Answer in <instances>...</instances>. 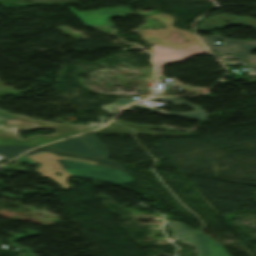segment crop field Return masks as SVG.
<instances>
[{"label":"crop field","mask_w":256,"mask_h":256,"mask_svg":"<svg viewBox=\"0 0 256 256\" xmlns=\"http://www.w3.org/2000/svg\"><path fill=\"white\" fill-rule=\"evenodd\" d=\"M134 101L135 100H133V99L126 100V99L120 98V99H118V101L116 103H114L112 105H102V109L107 110L110 113H113L114 109H119L120 107H122L128 103L134 102Z\"/></svg>","instance_id":"13"},{"label":"crop field","mask_w":256,"mask_h":256,"mask_svg":"<svg viewBox=\"0 0 256 256\" xmlns=\"http://www.w3.org/2000/svg\"><path fill=\"white\" fill-rule=\"evenodd\" d=\"M157 46L154 49L155 63L157 65V74H161L164 65L172 62L184 61L194 55L206 54L207 51L202 50L198 44H194L182 49H170L162 46Z\"/></svg>","instance_id":"6"},{"label":"crop field","mask_w":256,"mask_h":256,"mask_svg":"<svg viewBox=\"0 0 256 256\" xmlns=\"http://www.w3.org/2000/svg\"><path fill=\"white\" fill-rule=\"evenodd\" d=\"M209 49H214L217 54H240L249 64L256 67V56L250 53L256 50V42L251 40H229L219 34L210 37H200ZM224 40V46L216 47L215 40Z\"/></svg>","instance_id":"4"},{"label":"crop field","mask_w":256,"mask_h":256,"mask_svg":"<svg viewBox=\"0 0 256 256\" xmlns=\"http://www.w3.org/2000/svg\"><path fill=\"white\" fill-rule=\"evenodd\" d=\"M171 80H172V81H171L170 83H174V84L178 85L179 87H181L182 89H184V90H186V91H189V92H193V93L199 94L198 92L193 91V90H194V88H193V87H186V86H184V85L180 84L179 82H177V81H176V80H174V79H171ZM196 89H200V88H196Z\"/></svg>","instance_id":"15"},{"label":"crop field","mask_w":256,"mask_h":256,"mask_svg":"<svg viewBox=\"0 0 256 256\" xmlns=\"http://www.w3.org/2000/svg\"><path fill=\"white\" fill-rule=\"evenodd\" d=\"M219 17L223 18L221 21H216L215 24H201V28L199 29H213L216 26H219L221 29L225 27L226 25L223 23L224 21L233 22L234 16L227 15V14H221L220 16H213L210 18H213V20L218 19ZM240 24H230V25H241L246 26L241 20H238ZM207 27V28H205Z\"/></svg>","instance_id":"11"},{"label":"crop field","mask_w":256,"mask_h":256,"mask_svg":"<svg viewBox=\"0 0 256 256\" xmlns=\"http://www.w3.org/2000/svg\"><path fill=\"white\" fill-rule=\"evenodd\" d=\"M220 59L223 61V63L225 65H243L244 67L250 69L248 71V75L251 77H256V70L253 69L251 66H249L248 64H246L240 56H219ZM225 57H234L236 59H238L237 61H232V60H226L224 59Z\"/></svg>","instance_id":"12"},{"label":"crop field","mask_w":256,"mask_h":256,"mask_svg":"<svg viewBox=\"0 0 256 256\" xmlns=\"http://www.w3.org/2000/svg\"><path fill=\"white\" fill-rule=\"evenodd\" d=\"M32 147L27 146H0V154L6 156L10 159L16 157L17 155L23 153L24 151Z\"/></svg>","instance_id":"10"},{"label":"crop field","mask_w":256,"mask_h":256,"mask_svg":"<svg viewBox=\"0 0 256 256\" xmlns=\"http://www.w3.org/2000/svg\"><path fill=\"white\" fill-rule=\"evenodd\" d=\"M175 240L196 247L198 256H230L222 245L179 222H167Z\"/></svg>","instance_id":"3"},{"label":"crop field","mask_w":256,"mask_h":256,"mask_svg":"<svg viewBox=\"0 0 256 256\" xmlns=\"http://www.w3.org/2000/svg\"><path fill=\"white\" fill-rule=\"evenodd\" d=\"M150 18L158 19L161 22L167 24L168 30H146V31L138 32V34L143 38L144 41L159 43V44L172 46V47H181V46H185L190 43L199 42L194 37V35L192 33L188 32V31H184V30H179V29H176L175 27L171 26L173 23V19L170 16H166L163 14H157V15L150 16ZM172 31H177V32L182 33L183 38L189 40V43L167 42L169 35ZM200 45H201V43H200ZM203 49H205V48L203 47Z\"/></svg>","instance_id":"5"},{"label":"crop field","mask_w":256,"mask_h":256,"mask_svg":"<svg viewBox=\"0 0 256 256\" xmlns=\"http://www.w3.org/2000/svg\"><path fill=\"white\" fill-rule=\"evenodd\" d=\"M150 100H163V101H167V102L176 104V105H178V106H180V105H182V104H185V105H187V106H190V107L196 109L197 111H196V112H193V113H187V114L166 113V112L159 111V110H154V109H150V108H146V107L137 106V105H135V104L130 105V106H128V107L125 108V109H129L130 107H133V108H140V109H144V110L156 112V113L162 114V115H174V116L192 118V119H195V120H198V121H201V120H203L205 117H207L206 113H204L203 111H201L199 108H197V107L194 106V105L188 104V103H186V102H184V101H182V100H175V99H173V98H155V99H150Z\"/></svg>","instance_id":"9"},{"label":"crop field","mask_w":256,"mask_h":256,"mask_svg":"<svg viewBox=\"0 0 256 256\" xmlns=\"http://www.w3.org/2000/svg\"><path fill=\"white\" fill-rule=\"evenodd\" d=\"M158 129H163L159 127H153ZM150 126L147 125H134L130 123H125L121 121H113L110 125L102 130L95 131V133H121V134H190V133H179V130H173L176 133H156L149 131ZM169 130V129H164Z\"/></svg>","instance_id":"8"},{"label":"crop field","mask_w":256,"mask_h":256,"mask_svg":"<svg viewBox=\"0 0 256 256\" xmlns=\"http://www.w3.org/2000/svg\"><path fill=\"white\" fill-rule=\"evenodd\" d=\"M36 127L53 129L57 133L49 136L36 135L23 140L17 135V131ZM87 130H90L88 126L53 124L47 121L33 120L28 116L14 115L0 109V144H15L17 140H20L21 143L38 146Z\"/></svg>","instance_id":"2"},{"label":"crop field","mask_w":256,"mask_h":256,"mask_svg":"<svg viewBox=\"0 0 256 256\" xmlns=\"http://www.w3.org/2000/svg\"><path fill=\"white\" fill-rule=\"evenodd\" d=\"M98 117H99V119H100L99 124H96V123H90L89 128L94 129V128H97V127L103 126V124H101V123H102L104 120H108V119H105V118H104V117H102V116H98Z\"/></svg>","instance_id":"16"},{"label":"crop field","mask_w":256,"mask_h":256,"mask_svg":"<svg viewBox=\"0 0 256 256\" xmlns=\"http://www.w3.org/2000/svg\"><path fill=\"white\" fill-rule=\"evenodd\" d=\"M166 90H163L162 92H160L158 95H165Z\"/></svg>","instance_id":"17"},{"label":"crop field","mask_w":256,"mask_h":256,"mask_svg":"<svg viewBox=\"0 0 256 256\" xmlns=\"http://www.w3.org/2000/svg\"><path fill=\"white\" fill-rule=\"evenodd\" d=\"M55 146L58 150L91 157H111L108 150L96 136L74 138L55 144ZM25 156L41 164L37 172L55 181L63 189L71 187L66 182V179L74 175L116 184H124L132 181L117 162L61 153L57 152L53 146L36 149ZM55 172L61 173V175L59 176Z\"/></svg>","instance_id":"1"},{"label":"crop field","mask_w":256,"mask_h":256,"mask_svg":"<svg viewBox=\"0 0 256 256\" xmlns=\"http://www.w3.org/2000/svg\"><path fill=\"white\" fill-rule=\"evenodd\" d=\"M19 161L22 162V163H29V164H32V165L36 164L35 162L31 161L30 159L22 156V157H20V158H18L17 160L14 161L15 165H7V166L3 167V169H13L15 171L24 170L25 168H20V166H17Z\"/></svg>","instance_id":"14"},{"label":"crop field","mask_w":256,"mask_h":256,"mask_svg":"<svg viewBox=\"0 0 256 256\" xmlns=\"http://www.w3.org/2000/svg\"><path fill=\"white\" fill-rule=\"evenodd\" d=\"M79 19H81L85 24L94 26H107L113 27L112 23L108 18L118 17L122 15L131 14L129 8L126 7H115L99 9L97 11H85V12H75L73 8H69Z\"/></svg>","instance_id":"7"}]
</instances>
